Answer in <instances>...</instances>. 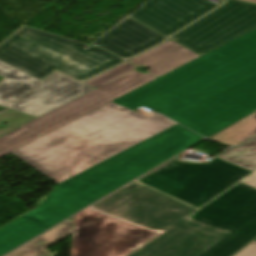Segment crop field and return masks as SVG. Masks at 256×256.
Listing matches in <instances>:
<instances>
[{
    "label": "crop field",
    "instance_id": "obj_1",
    "mask_svg": "<svg viewBox=\"0 0 256 256\" xmlns=\"http://www.w3.org/2000/svg\"><path fill=\"white\" fill-rule=\"evenodd\" d=\"M202 139L161 115L101 106L11 152L59 183L24 216L50 228Z\"/></svg>",
    "mask_w": 256,
    "mask_h": 256
},
{
    "label": "crop field",
    "instance_id": "obj_2",
    "mask_svg": "<svg viewBox=\"0 0 256 256\" xmlns=\"http://www.w3.org/2000/svg\"><path fill=\"white\" fill-rule=\"evenodd\" d=\"M105 106H145L214 135L256 110V29Z\"/></svg>",
    "mask_w": 256,
    "mask_h": 256
},
{
    "label": "crop field",
    "instance_id": "obj_3",
    "mask_svg": "<svg viewBox=\"0 0 256 256\" xmlns=\"http://www.w3.org/2000/svg\"><path fill=\"white\" fill-rule=\"evenodd\" d=\"M135 182L196 210L185 219L228 232L197 256H231L256 239V171L172 159Z\"/></svg>",
    "mask_w": 256,
    "mask_h": 256
},
{
    "label": "crop field",
    "instance_id": "obj_4",
    "mask_svg": "<svg viewBox=\"0 0 256 256\" xmlns=\"http://www.w3.org/2000/svg\"><path fill=\"white\" fill-rule=\"evenodd\" d=\"M165 39L134 19L125 17L92 44L128 59ZM85 46L22 25L0 43V61L41 81L55 69L82 81L123 61L95 47L83 50Z\"/></svg>",
    "mask_w": 256,
    "mask_h": 256
},
{
    "label": "crop field",
    "instance_id": "obj_5",
    "mask_svg": "<svg viewBox=\"0 0 256 256\" xmlns=\"http://www.w3.org/2000/svg\"><path fill=\"white\" fill-rule=\"evenodd\" d=\"M90 208L161 233L128 256H196L226 233L183 219L193 210L134 182Z\"/></svg>",
    "mask_w": 256,
    "mask_h": 256
},
{
    "label": "crop field",
    "instance_id": "obj_6",
    "mask_svg": "<svg viewBox=\"0 0 256 256\" xmlns=\"http://www.w3.org/2000/svg\"><path fill=\"white\" fill-rule=\"evenodd\" d=\"M158 234L88 208L73 217L71 256H126Z\"/></svg>",
    "mask_w": 256,
    "mask_h": 256
},
{
    "label": "crop field",
    "instance_id": "obj_7",
    "mask_svg": "<svg viewBox=\"0 0 256 256\" xmlns=\"http://www.w3.org/2000/svg\"><path fill=\"white\" fill-rule=\"evenodd\" d=\"M226 1L170 39L203 55L256 28V5Z\"/></svg>",
    "mask_w": 256,
    "mask_h": 256
},
{
    "label": "crop field",
    "instance_id": "obj_8",
    "mask_svg": "<svg viewBox=\"0 0 256 256\" xmlns=\"http://www.w3.org/2000/svg\"><path fill=\"white\" fill-rule=\"evenodd\" d=\"M220 4L207 0H149L128 16L170 36Z\"/></svg>",
    "mask_w": 256,
    "mask_h": 256
},
{
    "label": "crop field",
    "instance_id": "obj_9",
    "mask_svg": "<svg viewBox=\"0 0 256 256\" xmlns=\"http://www.w3.org/2000/svg\"><path fill=\"white\" fill-rule=\"evenodd\" d=\"M93 90L59 72H55L11 109L39 117Z\"/></svg>",
    "mask_w": 256,
    "mask_h": 256
},
{
    "label": "crop field",
    "instance_id": "obj_10",
    "mask_svg": "<svg viewBox=\"0 0 256 256\" xmlns=\"http://www.w3.org/2000/svg\"><path fill=\"white\" fill-rule=\"evenodd\" d=\"M112 100L114 99L101 92L93 90L25 124L23 127L42 136L51 130Z\"/></svg>",
    "mask_w": 256,
    "mask_h": 256
},
{
    "label": "crop field",
    "instance_id": "obj_11",
    "mask_svg": "<svg viewBox=\"0 0 256 256\" xmlns=\"http://www.w3.org/2000/svg\"><path fill=\"white\" fill-rule=\"evenodd\" d=\"M154 79L156 78L153 75H145L137 72L135 71L134 65L125 62L84 84L90 87H97L95 90L101 91L116 99Z\"/></svg>",
    "mask_w": 256,
    "mask_h": 256
},
{
    "label": "crop field",
    "instance_id": "obj_12",
    "mask_svg": "<svg viewBox=\"0 0 256 256\" xmlns=\"http://www.w3.org/2000/svg\"><path fill=\"white\" fill-rule=\"evenodd\" d=\"M198 57L200 56L169 40L129 61L151 68L147 72L160 77Z\"/></svg>",
    "mask_w": 256,
    "mask_h": 256
},
{
    "label": "crop field",
    "instance_id": "obj_13",
    "mask_svg": "<svg viewBox=\"0 0 256 256\" xmlns=\"http://www.w3.org/2000/svg\"><path fill=\"white\" fill-rule=\"evenodd\" d=\"M0 75L5 77L0 82V106L12 107L31 90L38 86L40 81L0 62Z\"/></svg>",
    "mask_w": 256,
    "mask_h": 256
},
{
    "label": "crop field",
    "instance_id": "obj_14",
    "mask_svg": "<svg viewBox=\"0 0 256 256\" xmlns=\"http://www.w3.org/2000/svg\"><path fill=\"white\" fill-rule=\"evenodd\" d=\"M47 229L24 216L0 228V256Z\"/></svg>",
    "mask_w": 256,
    "mask_h": 256
},
{
    "label": "crop field",
    "instance_id": "obj_15",
    "mask_svg": "<svg viewBox=\"0 0 256 256\" xmlns=\"http://www.w3.org/2000/svg\"><path fill=\"white\" fill-rule=\"evenodd\" d=\"M71 228L72 222L66 221L6 256H57L51 254L45 248L71 234Z\"/></svg>",
    "mask_w": 256,
    "mask_h": 256
},
{
    "label": "crop field",
    "instance_id": "obj_16",
    "mask_svg": "<svg viewBox=\"0 0 256 256\" xmlns=\"http://www.w3.org/2000/svg\"><path fill=\"white\" fill-rule=\"evenodd\" d=\"M254 135H256V111L210 138L235 146Z\"/></svg>",
    "mask_w": 256,
    "mask_h": 256
},
{
    "label": "crop field",
    "instance_id": "obj_17",
    "mask_svg": "<svg viewBox=\"0 0 256 256\" xmlns=\"http://www.w3.org/2000/svg\"><path fill=\"white\" fill-rule=\"evenodd\" d=\"M217 157L249 169H256V142L248 141L237 148H231Z\"/></svg>",
    "mask_w": 256,
    "mask_h": 256
},
{
    "label": "crop field",
    "instance_id": "obj_18",
    "mask_svg": "<svg viewBox=\"0 0 256 256\" xmlns=\"http://www.w3.org/2000/svg\"><path fill=\"white\" fill-rule=\"evenodd\" d=\"M40 136L24 129L19 128L0 138V156L38 138Z\"/></svg>",
    "mask_w": 256,
    "mask_h": 256
},
{
    "label": "crop field",
    "instance_id": "obj_19",
    "mask_svg": "<svg viewBox=\"0 0 256 256\" xmlns=\"http://www.w3.org/2000/svg\"><path fill=\"white\" fill-rule=\"evenodd\" d=\"M35 118L36 117L30 116V115H27L24 113L12 111V110L6 112L4 115H2L0 117V123L4 122L9 125L3 129L0 128V136L7 133L8 131L22 125V124H25V123L35 119Z\"/></svg>",
    "mask_w": 256,
    "mask_h": 256
},
{
    "label": "crop field",
    "instance_id": "obj_20",
    "mask_svg": "<svg viewBox=\"0 0 256 256\" xmlns=\"http://www.w3.org/2000/svg\"><path fill=\"white\" fill-rule=\"evenodd\" d=\"M233 256H256V241L251 242Z\"/></svg>",
    "mask_w": 256,
    "mask_h": 256
},
{
    "label": "crop field",
    "instance_id": "obj_21",
    "mask_svg": "<svg viewBox=\"0 0 256 256\" xmlns=\"http://www.w3.org/2000/svg\"><path fill=\"white\" fill-rule=\"evenodd\" d=\"M242 1H247V2L256 3V0H242Z\"/></svg>",
    "mask_w": 256,
    "mask_h": 256
},
{
    "label": "crop field",
    "instance_id": "obj_22",
    "mask_svg": "<svg viewBox=\"0 0 256 256\" xmlns=\"http://www.w3.org/2000/svg\"><path fill=\"white\" fill-rule=\"evenodd\" d=\"M252 140H255V141H256V137H255V138H253Z\"/></svg>",
    "mask_w": 256,
    "mask_h": 256
}]
</instances>
